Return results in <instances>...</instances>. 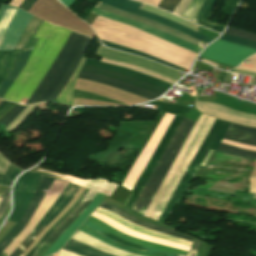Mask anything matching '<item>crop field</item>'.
<instances>
[{"instance_id": "obj_38", "label": "crop field", "mask_w": 256, "mask_h": 256, "mask_svg": "<svg viewBox=\"0 0 256 256\" xmlns=\"http://www.w3.org/2000/svg\"><path fill=\"white\" fill-rule=\"evenodd\" d=\"M22 1L23 0H12L10 4L18 7ZM36 1L37 0H24L22 4L19 6V8L28 11Z\"/></svg>"}, {"instance_id": "obj_24", "label": "crop field", "mask_w": 256, "mask_h": 256, "mask_svg": "<svg viewBox=\"0 0 256 256\" xmlns=\"http://www.w3.org/2000/svg\"><path fill=\"white\" fill-rule=\"evenodd\" d=\"M30 53H31V51L21 50L19 58L15 64L14 68L9 73L7 78L0 85V98L3 97V95L6 93V91L9 89V87L12 85V83L15 81V79L19 75L20 71L24 67Z\"/></svg>"}, {"instance_id": "obj_37", "label": "crop field", "mask_w": 256, "mask_h": 256, "mask_svg": "<svg viewBox=\"0 0 256 256\" xmlns=\"http://www.w3.org/2000/svg\"><path fill=\"white\" fill-rule=\"evenodd\" d=\"M225 34H229V35L239 37V38H243V39L256 41V35L246 33V32L240 31V30H236V29H233V28H230V27H228V29L225 31Z\"/></svg>"}, {"instance_id": "obj_32", "label": "crop field", "mask_w": 256, "mask_h": 256, "mask_svg": "<svg viewBox=\"0 0 256 256\" xmlns=\"http://www.w3.org/2000/svg\"><path fill=\"white\" fill-rule=\"evenodd\" d=\"M204 0H192L184 13L182 14V17L194 21L202 3Z\"/></svg>"}, {"instance_id": "obj_22", "label": "crop field", "mask_w": 256, "mask_h": 256, "mask_svg": "<svg viewBox=\"0 0 256 256\" xmlns=\"http://www.w3.org/2000/svg\"><path fill=\"white\" fill-rule=\"evenodd\" d=\"M72 239L81 241L85 244H88L92 247H95L97 249H100V250L105 251L110 254H114V255H118V256H138V255L120 251V250H118L112 246H109V245H107V244H105V243L79 231V230H77V232L73 235Z\"/></svg>"}, {"instance_id": "obj_28", "label": "crop field", "mask_w": 256, "mask_h": 256, "mask_svg": "<svg viewBox=\"0 0 256 256\" xmlns=\"http://www.w3.org/2000/svg\"><path fill=\"white\" fill-rule=\"evenodd\" d=\"M89 191L88 188L81 194L79 199L66 211V213L46 232L40 242L26 255L31 256L33 252L37 249V247L45 240V238L74 210L77 204L83 199L86 193Z\"/></svg>"}, {"instance_id": "obj_1", "label": "crop field", "mask_w": 256, "mask_h": 256, "mask_svg": "<svg viewBox=\"0 0 256 256\" xmlns=\"http://www.w3.org/2000/svg\"><path fill=\"white\" fill-rule=\"evenodd\" d=\"M204 117H205V115L201 114V116H200L196 126L194 127L192 133L190 134L189 138L187 137L188 138L187 141L185 142L182 149L180 150L177 157L175 158V160H174L172 166L170 167L167 175L165 176L163 182L161 183V185H160V187H159V189H158L150 207L148 208L147 212L145 213V216L148 217L151 209L153 208L156 200L158 199V197H159L161 191L163 190L165 184L167 183L169 177L171 176V174H172L175 166L177 165L180 157L182 156V154L186 150L187 146L191 142V140L194 137L196 131L198 130L200 124L202 123ZM229 124L230 123H228V122H224V121L216 119L215 123L211 127V129L208 132L207 136L205 137L204 141L202 142L195 158L193 159L192 163L190 164L189 168L187 169L186 173L184 174L183 178L181 179L179 185L177 186L175 192L173 193L165 211L163 212L162 216L159 219V222H161L163 224L165 223V221L167 220V218L169 217V215L172 213L173 209L177 205L178 201L182 197L183 193L187 189L192 177L195 175L197 170L202 165V163H203L205 157L207 156V154L209 153V151L210 150H215L216 151V149H217L219 143L221 142Z\"/></svg>"}, {"instance_id": "obj_47", "label": "crop field", "mask_w": 256, "mask_h": 256, "mask_svg": "<svg viewBox=\"0 0 256 256\" xmlns=\"http://www.w3.org/2000/svg\"><path fill=\"white\" fill-rule=\"evenodd\" d=\"M208 2H209V0H205L204 3H203V5H202V7H201V9H200V11H199V13H198V15H197L195 21H194V22H196L197 24H198V22H199V20H200V18H201V16H202V14H203L205 8H206Z\"/></svg>"}, {"instance_id": "obj_17", "label": "crop field", "mask_w": 256, "mask_h": 256, "mask_svg": "<svg viewBox=\"0 0 256 256\" xmlns=\"http://www.w3.org/2000/svg\"><path fill=\"white\" fill-rule=\"evenodd\" d=\"M104 197L105 195L98 193L96 198L83 211L80 217L64 231V233L59 237V239L47 250V252L43 256H49L58 251L59 249H61L67 242V240L78 229V227L83 223V221L88 217V215L98 206V204Z\"/></svg>"}, {"instance_id": "obj_30", "label": "crop field", "mask_w": 256, "mask_h": 256, "mask_svg": "<svg viewBox=\"0 0 256 256\" xmlns=\"http://www.w3.org/2000/svg\"><path fill=\"white\" fill-rule=\"evenodd\" d=\"M101 41H102V40H101ZM102 43H103L105 46H108V47L113 48V49L121 50V51H124V52H128V53H131V54H135V55L141 56V57H145V58H148V59H151V60H154V61H157V62L166 64V65H168V66L174 67V68H176V69L179 68V67H177V66H175V65H172V64H170V63H168V62H166V61L157 59V58H155V57H152V56L143 54V53H141V52H138V51H135V50H132V49H128V48H125V47H122V46H118V45H115V44H112V43H109V42H105V41H102Z\"/></svg>"}, {"instance_id": "obj_35", "label": "crop field", "mask_w": 256, "mask_h": 256, "mask_svg": "<svg viewBox=\"0 0 256 256\" xmlns=\"http://www.w3.org/2000/svg\"><path fill=\"white\" fill-rule=\"evenodd\" d=\"M27 106L17 104L7 115H5L0 123L8 126Z\"/></svg>"}, {"instance_id": "obj_27", "label": "crop field", "mask_w": 256, "mask_h": 256, "mask_svg": "<svg viewBox=\"0 0 256 256\" xmlns=\"http://www.w3.org/2000/svg\"><path fill=\"white\" fill-rule=\"evenodd\" d=\"M19 51L20 50H13L11 52L0 51V84L13 68L18 58Z\"/></svg>"}, {"instance_id": "obj_14", "label": "crop field", "mask_w": 256, "mask_h": 256, "mask_svg": "<svg viewBox=\"0 0 256 256\" xmlns=\"http://www.w3.org/2000/svg\"><path fill=\"white\" fill-rule=\"evenodd\" d=\"M92 13L94 14H97V15H100L102 17H106V18H109V19H112L114 21H117V22H120V23H123V24H126V25H130V26H133L135 28H138V29H141L143 31H146L148 33H151L159 38H162L168 42H171L173 44H176L180 47H183L185 49H188V50H191L193 52H196L199 54V52L201 51V48L193 45V44H190L186 41H183L179 38H176L172 35H169L167 33H164V32H161L159 30H156L154 28H151V27H148L146 25H143V24H140V23H137V22H134V21H131V20H128V19H125V18H122L120 16H117V15H114L112 13H109V12H106L104 10H100V9H96L94 8Z\"/></svg>"}, {"instance_id": "obj_19", "label": "crop field", "mask_w": 256, "mask_h": 256, "mask_svg": "<svg viewBox=\"0 0 256 256\" xmlns=\"http://www.w3.org/2000/svg\"><path fill=\"white\" fill-rule=\"evenodd\" d=\"M96 7H97V8L104 9V10H107V11H109V12H112V13H114V14L120 15V16H122V17H125V18H128V19H131V20H134V21H137V22L146 24V25H148V26L154 27V28L159 29V30H161V31L167 32V33L172 34V35H174V36H176V37H179V38H181V39H183V40H186V41L191 42V43H193V44H195V45H198V46H200V47H202V48H203V46L206 44V43H204V42H201V41H199V40H196V39H193V38H191V37H188V36H186V35H184V34L178 32V31H176V30H173V29H171V28L165 27V26H163V25H160V24L155 23V22H153V21H150V20H148V19H145V18H141V17H137V16H134V15L127 14V13H125V12L119 11V10H117V9L111 8V7L106 6V5H103V4H101V3H99Z\"/></svg>"}, {"instance_id": "obj_33", "label": "crop field", "mask_w": 256, "mask_h": 256, "mask_svg": "<svg viewBox=\"0 0 256 256\" xmlns=\"http://www.w3.org/2000/svg\"><path fill=\"white\" fill-rule=\"evenodd\" d=\"M215 0H210L200 22H199V25H202V26H205L213 31H216V32H219L221 33V31L224 29V26H220V25H216V24H212V23H208V22H205L213 4H214Z\"/></svg>"}, {"instance_id": "obj_2", "label": "crop field", "mask_w": 256, "mask_h": 256, "mask_svg": "<svg viewBox=\"0 0 256 256\" xmlns=\"http://www.w3.org/2000/svg\"><path fill=\"white\" fill-rule=\"evenodd\" d=\"M85 64L95 66V67H99V68H103V69H107V70L120 72V73L138 78L140 80L149 82L151 84H154V85L166 88V89H168L170 86H172V84H169V83H166V82H163V81H160V80L142 75L140 73H137V72H134V71H131V70H127V69H124V68H121V67L101 63V62H98V61H95V60L87 59ZM91 66H86L85 65L82 71H86V72H90V73L110 77V78H113V79L121 80V81L127 82L129 84L135 85L137 87H140L142 89L157 93L159 95H162L166 91V89L151 85L149 83L140 81L138 79H135V78L123 75V74H119V73H115V72H111V71L91 67ZM86 72H81L79 77L84 78V79H88V80H92V81H96V82H100V83H104V84H108V85H112V86L118 87L120 89H123V90L129 91L131 93H134L136 95L142 96L144 98H147L149 100H152V99L159 96V95H156L154 93L142 90L140 88H137L135 86L129 85V84L121 82V81L113 80V79H110V78H106V77H102V76H98V75H94V74H90V73H86Z\"/></svg>"}, {"instance_id": "obj_48", "label": "crop field", "mask_w": 256, "mask_h": 256, "mask_svg": "<svg viewBox=\"0 0 256 256\" xmlns=\"http://www.w3.org/2000/svg\"><path fill=\"white\" fill-rule=\"evenodd\" d=\"M20 172H22V171H21L20 169H18V168L15 167V169H14V171H13L11 177H10V180L8 181L7 186H11V181L14 180V178H15Z\"/></svg>"}, {"instance_id": "obj_36", "label": "crop field", "mask_w": 256, "mask_h": 256, "mask_svg": "<svg viewBox=\"0 0 256 256\" xmlns=\"http://www.w3.org/2000/svg\"><path fill=\"white\" fill-rule=\"evenodd\" d=\"M220 40L228 41L231 43L239 44L248 48H252L256 50V42L247 41L239 38H235L229 35L223 34V36L220 38Z\"/></svg>"}, {"instance_id": "obj_26", "label": "crop field", "mask_w": 256, "mask_h": 256, "mask_svg": "<svg viewBox=\"0 0 256 256\" xmlns=\"http://www.w3.org/2000/svg\"><path fill=\"white\" fill-rule=\"evenodd\" d=\"M63 249L84 255V256H114L87 246L83 243L70 239Z\"/></svg>"}, {"instance_id": "obj_46", "label": "crop field", "mask_w": 256, "mask_h": 256, "mask_svg": "<svg viewBox=\"0 0 256 256\" xmlns=\"http://www.w3.org/2000/svg\"><path fill=\"white\" fill-rule=\"evenodd\" d=\"M14 103L6 101L1 107H0V116L4 114L10 107H12Z\"/></svg>"}, {"instance_id": "obj_53", "label": "crop field", "mask_w": 256, "mask_h": 256, "mask_svg": "<svg viewBox=\"0 0 256 256\" xmlns=\"http://www.w3.org/2000/svg\"><path fill=\"white\" fill-rule=\"evenodd\" d=\"M249 59L256 61V54L250 57Z\"/></svg>"}, {"instance_id": "obj_42", "label": "crop field", "mask_w": 256, "mask_h": 256, "mask_svg": "<svg viewBox=\"0 0 256 256\" xmlns=\"http://www.w3.org/2000/svg\"><path fill=\"white\" fill-rule=\"evenodd\" d=\"M14 167H15L14 165L10 164V166H9L8 170L6 171V173L4 174V176L0 175V184H2V185L7 184L8 178L11 175Z\"/></svg>"}, {"instance_id": "obj_45", "label": "crop field", "mask_w": 256, "mask_h": 256, "mask_svg": "<svg viewBox=\"0 0 256 256\" xmlns=\"http://www.w3.org/2000/svg\"><path fill=\"white\" fill-rule=\"evenodd\" d=\"M8 161L3 159L1 156H0V174H4L6 169H7V165H8Z\"/></svg>"}, {"instance_id": "obj_25", "label": "crop field", "mask_w": 256, "mask_h": 256, "mask_svg": "<svg viewBox=\"0 0 256 256\" xmlns=\"http://www.w3.org/2000/svg\"><path fill=\"white\" fill-rule=\"evenodd\" d=\"M85 60L86 58L85 56H83L80 64L76 68L70 80L68 81V83L65 85V87L62 89V91L59 93V95L56 97V99L53 102L72 106L73 87Z\"/></svg>"}, {"instance_id": "obj_23", "label": "crop field", "mask_w": 256, "mask_h": 256, "mask_svg": "<svg viewBox=\"0 0 256 256\" xmlns=\"http://www.w3.org/2000/svg\"><path fill=\"white\" fill-rule=\"evenodd\" d=\"M41 23L42 20L33 16L29 25L20 37L15 49L32 50L37 41V38H33V36Z\"/></svg>"}, {"instance_id": "obj_11", "label": "crop field", "mask_w": 256, "mask_h": 256, "mask_svg": "<svg viewBox=\"0 0 256 256\" xmlns=\"http://www.w3.org/2000/svg\"><path fill=\"white\" fill-rule=\"evenodd\" d=\"M100 2H103L105 4L111 5L113 7L119 8L127 13L130 14H134L137 16H141V17H145L148 18L150 20H153L155 22H158L160 24H163L165 26L171 27L173 29H176L188 36L194 37L196 39H199L201 41H204L206 43H208L209 41H211V39L204 37L190 29H187L179 24H176L172 21H169L163 17L157 16L155 14L149 13V12H145L142 10H138L139 7L141 6V3H137L134 1H130V0H100Z\"/></svg>"}, {"instance_id": "obj_6", "label": "crop field", "mask_w": 256, "mask_h": 256, "mask_svg": "<svg viewBox=\"0 0 256 256\" xmlns=\"http://www.w3.org/2000/svg\"><path fill=\"white\" fill-rule=\"evenodd\" d=\"M32 18L23 10L7 5L0 7V50H12Z\"/></svg>"}, {"instance_id": "obj_5", "label": "crop field", "mask_w": 256, "mask_h": 256, "mask_svg": "<svg viewBox=\"0 0 256 256\" xmlns=\"http://www.w3.org/2000/svg\"><path fill=\"white\" fill-rule=\"evenodd\" d=\"M148 104L158 105L157 109L165 111L167 113L176 114L174 120L170 124L169 128L165 132L164 136L162 137L158 147L156 148L155 152L153 153L152 157L150 158L149 162L147 163L143 173L141 174L139 180L135 184L132 192H130L126 202L124 205L132 208L137 196L139 195L140 191L142 190L143 186L147 182L148 178L150 177L152 171L154 170L157 162L159 161L161 155L163 154L170 138L172 137L173 133L177 129L180 122L183 120L189 108L172 105L168 103H163L159 101H155Z\"/></svg>"}, {"instance_id": "obj_31", "label": "crop field", "mask_w": 256, "mask_h": 256, "mask_svg": "<svg viewBox=\"0 0 256 256\" xmlns=\"http://www.w3.org/2000/svg\"><path fill=\"white\" fill-rule=\"evenodd\" d=\"M91 41V38H88V40L86 41L85 45L83 46L81 52L79 53L72 69L70 70V72L67 74V76L65 77V79L63 80V82L61 83V85L56 89V91L54 92V94L52 95V97L50 98V102H52L54 100V98L57 96V94L61 91V89L64 87V85L67 83L68 79L70 78V76L72 75L73 71L75 70V68L77 67L78 63L80 62L83 53H85L89 43ZM59 95V94H58ZM56 99V98H55Z\"/></svg>"}, {"instance_id": "obj_50", "label": "crop field", "mask_w": 256, "mask_h": 256, "mask_svg": "<svg viewBox=\"0 0 256 256\" xmlns=\"http://www.w3.org/2000/svg\"><path fill=\"white\" fill-rule=\"evenodd\" d=\"M59 254H60L59 256H81V255H77V254L71 253V252L63 250V249L60 250Z\"/></svg>"}, {"instance_id": "obj_18", "label": "crop field", "mask_w": 256, "mask_h": 256, "mask_svg": "<svg viewBox=\"0 0 256 256\" xmlns=\"http://www.w3.org/2000/svg\"><path fill=\"white\" fill-rule=\"evenodd\" d=\"M91 216H93V217L103 221L104 223L110 225L111 227H113L121 232H124L128 235H131L135 238H139V239H143V240H147V241H151V242H155V243H159V244H163V245H167V246H171V247H175V248H179V249H183V250H187V251H189V249H190V246H186V245H182V244L175 243L172 241L164 240L161 238L141 234V233L131 230V229H129V228H127V227H125V226H123V225H121V224L95 212V211L93 212V214Z\"/></svg>"}, {"instance_id": "obj_8", "label": "crop field", "mask_w": 256, "mask_h": 256, "mask_svg": "<svg viewBox=\"0 0 256 256\" xmlns=\"http://www.w3.org/2000/svg\"><path fill=\"white\" fill-rule=\"evenodd\" d=\"M173 117H174V115L165 113L159 126L157 127L154 134L152 135V137L146 144L145 148L143 149L141 154L138 156L133 167L129 171L122 186L126 187L129 190H131L133 188L135 182L137 181L143 168L145 167L146 163L148 162L149 158L151 157L152 153L154 152L155 148L157 147L161 137L163 136L164 132L166 131V129H167L168 125L170 124L171 120L173 119Z\"/></svg>"}, {"instance_id": "obj_7", "label": "crop field", "mask_w": 256, "mask_h": 256, "mask_svg": "<svg viewBox=\"0 0 256 256\" xmlns=\"http://www.w3.org/2000/svg\"><path fill=\"white\" fill-rule=\"evenodd\" d=\"M41 175L26 172L19 177L13 189V211L8 220L17 222L30 202Z\"/></svg>"}, {"instance_id": "obj_3", "label": "crop field", "mask_w": 256, "mask_h": 256, "mask_svg": "<svg viewBox=\"0 0 256 256\" xmlns=\"http://www.w3.org/2000/svg\"><path fill=\"white\" fill-rule=\"evenodd\" d=\"M87 37L71 32L53 65L38 85L27 104L48 101L70 70ZM65 79V78H64Z\"/></svg>"}, {"instance_id": "obj_39", "label": "crop field", "mask_w": 256, "mask_h": 256, "mask_svg": "<svg viewBox=\"0 0 256 256\" xmlns=\"http://www.w3.org/2000/svg\"><path fill=\"white\" fill-rule=\"evenodd\" d=\"M180 0H162L159 8L172 12Z\"/></svg>"}, {"instance_id": "obj_4", "label": "crop field", "mask_w": 256, "mask_h": 256, "mask_svg": "<svg viewBox=\"0 0 256 256\" xmlns=\"http://www.w3.org/2000/svg\"><path fill=\"white\" fill-rule=\"evenodd\" d=\"M196 122L184 118L158 162L151 177L141 191L132 210L144 215L174 157L186 141Z\"/></svg>"}, {"instance_id": "obj_44", "label": "crop field", "mask_w": 256, "mask_h": 256, "mask_svg": "<svg viewBox=\"0 0 256 256\" xmlns=\"http://www.w3.org/2000/svg\"><path fill=\"white\" fill-rule=\"evenodd\" d=\"M200 240H195L193 246L191 247L190 251L188 252L187 256H196L199 245H200Z\"/></svg>"}, {"instance_id": "obj_34", "label": "crop field", "mask_w": 256, "mask_h": 256, "mask_svg": "<svg viewBox=\"0 0 256 256\" xmlns=\"http://www.w3.org/2000/svg\"><path fill=\"white\" fill-rule=\"evenodd\" d=\"M38 106V104L28 106L7 128L13 132L24 120L25 118Z\"/></svg>"}, {"instance_id": "obj_9", "label": "crop field", "mask_w": 256, "mask_h": 256, "mask_svg": "<svg viewBox=\"0 0 256 256\" xmlns=\"http://www.w3.org/2000/svg\"><path fill=\"white\" fill-rule=\"evenodd\" d=\"M79 189L80 186L69 183L68 186L57 198V200L54 202V204L51 206V208L48 210V212L45 214V216L40 220V222L38 223L40 225H36L35 228L31 231V233L38 226L37 229L32 234L30 233V237L28 235L26 239L29 237L28 240H30L42 226L46 227L67 206V204L70 202V200L74 197V195L77 193ZM44 227H42L30 241L25 239L10 256H20L27 249V247L35 240V238L41 233Z\"/></svg>"}, {"instance_id": "obj_29", "label": "crop field", "mask_w": 256, "mask_h": 256, "mask_svg": "<svg viewBox=\"0 0 256 256\" xmlns=\"http://www.w3.org/2000/svg\"><path fill=\"white\" fill-rule=\"evenodd\" d=\"M217 151L232 154V155L244 156V157H250V158L256 159V152L240 149V148L229 146V145L222 144V143H220Z\"/></svg>"}, {"instance_id": "obj_41", "label": "crop field", "mask_w": 256, "mask_h": 256, "mask_svg": "<svg viewBox=\"0 0 256 256\" xmlns=\"http://www.w3.org/2000/svg\"><path fill=\"white\" fill-rule=\"evenodd\" d=\"M190 1L191 0H181L178 6L174 9L173 13L181 16L182 12L184 11V9L186 8Z\"/></svg>"}, {"instance_id": "obj_51", "label": "crop field", "mask_w": 256, "mask_h": 256, "mask_svg": "<svg viewBox=\"0 0 256 256\" xmlns=\"http://www.w3.org/2000/svg\"><path fill=\"white\" fill-rule=\"evenodd\" d=\"M230 72L241 73V74L250 75V76H256V73H254V72H248V71L237 70V69H234Z\"/></svg>"}, {"instance_id": "obj_12", "label": "crop field", "mask_w": 256, "mask_h": 256, "mask_svg": "<svg viewBox=\"0 0 256 256\" xmlns=\"http://www.w3.org/2000/svg\"><path fill=\"white\" fill-rule=\"evenodd\" d=\"M54 179L42 177V180L29 204L26 208L23 216L20 221L12 228V230L7 234V236L0 241V253L13 241V239L21 232V230L29 222L31 216L42 200L43 196L46 194L49 186L51 185Z\"/></svg>"}, {"instance_id": "obj_13", "label": "crop field", "mask_w": 256, "mask_h": 256, "mask_svg": "<svg viewBox=\"0 0 256 256\" xmlns=\"http://www.w3.org/2000/svg\"><path fill=\"white\" fill-rule=\"evenodd\" d=\"M85 224H87V225H89V226H91V227H93V228H95V229H97V230H99V231H101V232H103V233H105V234L115 238V239L123 241L125 243L131 244V245H135V246H139V247H143V248H148V249L156 250V251H161V250H157V249H153V248H149V247H145V246H141V245H137V244H134V243H130V242L124 241V240H122V239H120V238H118V237L108 233L107 231L103 230L102 228L98 227L97 225H95V224H93V223H91V222H89L87 220H86ZM85 224H83L82 227H84V228H86V229H88V230H90V231H92V232H94V233H96V234H98V235H100V236H102V237L112 241V242L118 243L120 245L129 247V248H133V249H137V250H141V251H145V252H149V253H153V254H157V255H161V256H174V255H177V254L169 255V254H173V253L161 251V252L169 253V254H165V253L156 252V251H152V250H148V249H143V248H139V247H135V246H131V245L125 244V243L120 242L118 240H115V239H113V238H111V237H109V236H107V235H105V234H103V233H101V232H99V231H97V230H95V229L85 225ZM82 227H80L79 230H81V231H83V232H85L87 234H90V235H92V236H94V237H96V238H98V239H100V240H102V241H104V242H106V243H108V244H110V245L120 249V250L127 251V252L134 253V254H138V255H142V256H156V255H152V254H148V253L132 250V249L120 246L118 244L112 243V242H110V241H108V240H106V239H104V238H102V237H100V236H98V235H96V234H94V233H92V232L82 228ZM178 256H181V255H178Z\"/></svg>"}, {"instance_id": "obj_10", "label": "crop field", "mask_w": 256, "mask_h": 256, "mask_svg": "<svg viewBox=\"0 0 256 256\" xmlns=\"http://www.w3.org/2000/svg\"><path fill=\"white\" fill-rule=\"evenodd\" d=\"M254 53V50L217 40L205 49L201 57L237 66Z\"/></svg>"}, {"instance_id": "obj_40", "label": "crop field", "mask_w": 256, "mask_h": 256, "mask_svg": "<svg viewBox=\"0 0 256 256\" xmlns=\"http://www.w3.org/2000/svg\"><path fill=\"white\" fill-rule=\"evenodd\" d=\"M9 190L10 188H7L5 193H4V196L1 200V203H0V217L3 215L9 201H10V195H9ZM9 206V205H8Z\"/></svg>"}, {"instance_id": "obj_15", "label": "crop field", "mask_w": 256, "mask_h": 256, "mask_svg": "<svg viewBox=\"0 0 256 256\" xmlns=\"http://www.w3.org/2000/svg\"><path fill=\"white\" fill-rule=\"evenodd\" d=\"M97 192L90 189L77 208L50 234L45 242L39 247V249L32 256H42L46 250L58 239L63 231L73 223L82 211L88 206V204L94 199Z\"/></svg>"}, {"instance_id": "obj_49", "label": "crop field", "mask_w": 256, "mask_h": 256, "mask_svg": "<svg viewBox=\"0 0 256 256\" xmlns=\"http://www.w3.org/2000/svg\"><path fill=\"white\" fill-rule=\"evenodd\" d=\"M139 1H142V2H144L146 4H149V5L157 7V5L159 4V2L161 0H139Z\"/></svg>"}, {"instance_id": "obj_52", "label": "crop field", "mask_w": 256, "mask_h": 256, "mask_svg": "<svg viewBox=\"0 0 256 256\" xmlns=\"http://www.w3.org/2000/svg\"><path fill=\"white\" fill-rule=\"evenodd\" d=\"M63 5H65L67 8L69 5L73 2V0H59Z\"/></svg>"}, {"instance_id": "obj_16", "label": "crop field", "mask_w": 256, "mask_h": 256, "mask_svg": "<svg viewBox=\"0 0 256 256\" xmlns=\"http://www.w3.org/2000/svg\"><path fill=\"white\" fill-rule=\"evenodd\" d=\"M31 171L37 172V173H40V174H44V175H47V176H50V177L58 178L60 180L62 179V177L64 175V174H59V173L47 171V170H44V169H40V168H37V167L31 169ZM63 180L71 181L75 184L92 188L96 191H99L101 193L106 194L109 197L112 194V192L115 190V188L118 186L115 183L109 182V181L101 179L99 177H97L95 179H79V178H76V177H73V176L65 175Z\"/></svg>"}, {"instance_id": "obj_21", "label": "crop field", "mask_w": 256, "mask_h": 256, "mask_svg": "<svg viewBox=\"0 0 256 256\" xmlns=\"http://www.w3.org/2000/svg\"><path fill=\"white\" fill-rule=\"evenodd\" d=\"M100 207L102 208H105V209H108L134 223H137L145 228H148V229H152V230H155V231H159V232H163V233H167V234H170V235H173V236H176V237H180V238H183V239H186V240H189V241H194V238L192 237H189V236H186L184 234H181V233H178L176 231H172V230H168V229H165V228H162V227H159V226H156V225H153V224H149V223H146V222H143L135 217H132L130 215H128L127 213H125L124 211L118 209V208H115L111 205H108L104 202L101 203Z\"/></svg>"}, {"instance_id": "obj_20", "label": "crop field", "mask_w": 256, "mask_h": 256, "mask_svg": "<svg viewBox=\"0 0 256 256\" xmlns=\"http://www.w3.org/2000/svg\"><path fill=\"white\" fill-rule=\"evenodd\" d=\"M224 138L256 146V129L231 123Z\"/></svg>"}, {"instance_id": "obj_54", "label": "crop field", "mask_w": 256, "mask_h": 256, "mask_svg": "<svg viewBox=\"0 0 256 256\" xmlns=\"http://www.w3.org/2000/svg\"><path fill=\"white\" fill-rule=\"evenodd\" d=\"M5 101L4 100H2L1 102H0V106L4 103Z\"/></svg>"}, {"instance_id": "obj_43", "label": "crop field", "mask_w": 256, "mask_h": 256, "mask_svg": "<svg viewBox=\"0 0 256 256\" xmlns=\"http://www.w3.org/2000/svg\"><path fill=\"white\" fill-rule=\"evenodd\" d=\"M222 143H226V144H230L233 146H237V147H241V148H245L248 150H252V151H256V147H252V146H248V145H244V144H240V143H236V142H232V141H228V140H222Z\"/></svg>"}]
</instances>
